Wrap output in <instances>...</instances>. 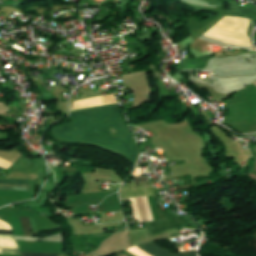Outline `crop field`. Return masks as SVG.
Instances as JSON below:
<instances>
[{
	"instance_id": "obj_1",
	"label": "crop field",
	"mask_w": 256,
	"mask_h": 256,
	"mask_svg": "<svg viewBox=\"0 0 256 256\" xmlns=\"http://www.w3.org/2000/svg\"><path fill=\"white\" fill-rule=\"evenodd\" d=\"M136 247L140 248L151 256H197L196 251H187L175 255L154 243L136 245Z\"/></svg>"
}]
</instances>
